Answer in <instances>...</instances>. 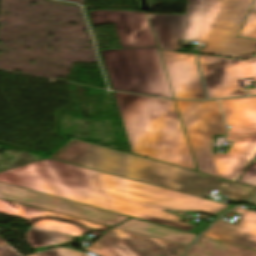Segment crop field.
I'll list each match as a JSON object with an SVG mask.
<instances>
[{
  "label": "crop field",
  "instance_id": "12",
  "mask_svg": "<svg viewBox=\"0 0 256 256\" xmlns=\"http://www.w3.org/2000/svg\"><path fill=\"white\" fill-rule=\"evenodd\" d=\"M17 210H18L19 217L30 220L27 224L31 225L36 220H42L40 222L33 224V226L54 231L57 233L65 234V235L80 237L91 230L88 228L79 227L77 225H82V226L90 227L92 229H97L101 231H106L107 229H109V227L102 226L100 224L78 220V219L62 216L60 214L46 212L36 208L27 207L19 204H17ZM63 221H67L77 225L64 223Z\"/></svg>",
  "mask_w": 256,
  "mask_h": 256
},
{
  "label": "crop field",
  "instance_id": "11",
  "mask_svg": "<svg viewBox=\"0 0 256 256\" xmlns=\"http://www.w3.org/2000/svg\"><path fill=\"white\" fill-rule=\"evenodd\" d=\"M175 99H205L196 55L160 51Z\"/></svg>",
  "mask_w": 256,
  "mask_h": 256
},
{
  "label": "crop field",
  "instance_id": "1",
  "mask_svg": "<svg viewBox=\"0 0 256 256\" xmlns=\"http://www.w3.org/2000/svg\"><path fill=\"white\" fill-rule=\"evenodd\" d=\"M0 182L188 232L195 226L179 222L181 217L163 211L216 214L230 207L50 159L1 173Z\"/></svg>",
  "mask_w": 256,
  "mask_h": 256
},
{
  "label": "crop field",
  "instance_id": "20",
  "mask_svg": "<svg viewBox=\"0 0 256 256\" xmlns=\"http://www.w3.org/2000/svg\"><path fill=\"white\" fill-rule=\"evenodd\" d=\"M237 182L256 187V162L247 167Z\"/></svg>",
  "mask_w": 256,
  "mask_h": 256
},
{
  "label": "crop field",
  "instance_id": "19",
  "mask_svg": "<svg viewBox=\"0 0 256 256\" xmlns=\"http://www.w3.org/2000/svg\"><path fill=\"white\" fill-rule=\"evenodd\" d=\"M240 37L256 40V14L255 13L249 14Z\"/></svg>",
  "mask_w": 256,
  "mask_h": 256
},
{
  "label": "crop field",
  "instance_id": "23",
  "mask_svg": "<svg viewBox=\"0 0 256 256\" xmlns=\"http://www.w3.org/2000/svg\"><path fill=\"white\" fill-rule=\"evenodd\" d=\"M247 204L255 205L256 206V197L250 200Z\"/></svg>",
  "mask_w": 256,
  "mask_h": 256
},
{
  "label": "crop field",
  "instance_id": "4",
  "mask_svg": "<svg viewBox=\"0 0 256 256\" xmlns=\"http://www.w3.org/2000/svg\"><path fill=\"white\" fill-rule=\"evenodd\" d=\"M52 157L205 197L214 189L243 202L255 188L72 139Z\"/></svg>",
  "mask_w": 256,
  "mask_h": 256
},
{
  "label": "crop field",
  "instance_id": "5",
  "mask_svg": "<svg viewBox=\"0 0 256 256\" xmlns=\"http://www.w3.org/2000/svg\"><path fill=\"white\" fill-rule=\"evenodd\" d=\"M114 93L135 155L195 170L173 101Z\"/></svg>",
  "mask_w": 256,
  "mask_h": 256
},
{
  "label": "crop field",
  "instance_id": "3",
  "mask_svg": "<svg viewBox=\"0 0 256 256\" xmlns=\"http://www.w3.org/2000/svg\"><path fill=\"white\" fill-rule=\"evenodd\" d=\"M253 0H187L186 15L148 14L161 50L176 51L179 39L202 41L200 52L246 59L256 41L237 38ZM251 11L256 12V0Z\"/></svg>",
  "mask_w": 256,
  "mask_h": 256
},
{
  "label": "crop field",
  "instance_id": "24",
  "mask_svg": "<svg viewBox=\"0 0 256 256\" xmlns=\"http://www.w3.org/2000/svg\"><path fill=\"white\" fill-rule=\"evenodd\" d=\"M254 161H256V156H255L254 159L251 161V163L254 162Z\"/></svg>",
  "mask_w": 256,
  "mask_h": 256
},
{
  "label": "crop field",
  "instance_id": "17",
  "mask_svg": "<svg viewBox=\"0 0 256 256\" xmlns=\"http://www.w3.org/2000/svg\"><path fill=\"white\" fill-rule=\"evenodd\" d=\"M3 152H5L4 155L0 154V172L45 158L23 151H19V153L10 151Z\"/></svg>",
  "mask_w": 256,
  "mask_h": 256
},
{
  "label": "crop field",
  "instance_id": "22",
  "mask_svg": "<svg viewBox=\"0 0 256 256\" xmlns=\"http://www.w3.org/2000/svg\"><path fill=\"white\" fill-rule=\"evenodd\" d=\"M209 225L201 223L192 233L200 235Z\"/></svg>",
  "mask_w": 256,
  "mask_h": 256
},
{
  "label": "crop field",
  "instance_id": "13",
  "mask_svg": "<svg viewBox=\"0 0 256 256\" xmlns=\"http://www.w3.org/2000/svg\"><path fill=\"white\" fill-rule=\"evenodd\" d=\"M242 214L236 225L219 220L204 237L256 250V213L236 209Z\"/></svg>",
  "mask_w": 256,
  "mask_h": 256
},
{
  "label": "crop field",
  "instance_id": "21",
  "mask_svg": "<svg viewBox=\"0 0 256 256\" xmlns=\"http://www.w3.org/2000/svg\"><path fill=\"white\" fill-rule=\"evenodd\" d=\"M16 203L0 199V212L12 216H17Z\"/></svg>",
  "mask_w": 256,
  "mask_h": 256
},
{
  "label": "crop field",
  "instance_id": "9",
  "mask_svg": "<svg viewBox=\"0 0 256 256\" xmlns=\"http://www.w3.org/2000/svg\"><path fill=\"white\" fill-rule=\"evenodd\" d=\"M185 248L112 228L87 249L101 256H180Z\"/></svg>",
  "mask_w": 256,
  "mask_h": 256
},
{
  "label": "crop field",
  "instance_id": "14",
  "mask_svg": "<svg viewBox=\"0 0 256 256\" xmlns=\"http://www.w3.org/2000/svg\"><path fill=\"white\" fill-rule=\"evenodd\" d=\"M119 229L139 233L142 235L182 244L188 246L198 236L169 229L166 227L154 225L152 223L135 220L133 218L124 222L118 227Z\"/></svg>",
  "mask_w": 256,
  "mask_h": 256
},
{
  "label": "crop field",
  "instance_id": "10",
  "mask_svg": "<svg viewBox=\"0 0 256 256\" xmlns=\"http://www.w3.org/2000/svg\"><path fill=\"white\" fill-rule=\"evenodd\" d=\"M93 25L113 23L122 48L157 46L146 13L136 11H92Z\"/></svg>",
  "mask_w": 256,
  "mask_h": 256
},
{
  "label": "crop field",
  "instance_id": "7",
  "mask_svg": "<svg viewBox=\"0 0 256 256\" xmlns=\"http://www.w3.org/2000/svg\"><path fill=\"white\" fill-rule=\"evenodd\" d=\"M0 198L109 226L119 225L129 218L115 212L70 202L2 183H0Z\"/></svg>",
  "mask_w": 256,
  "mask_h": 256
},
{
  "label": "crop field",
  "instance_id": "8",
  "mask_svg": "<svg viewBox=\"0 0 256 256\" xmlns=\"http://www.w3.org/2000/svg\"><path fill=\"white\" fill-rule=\"evenodd\" d=\"M199 63L209 99L247 95L237 79L256 78V58L231 60L199 55ZM256 95V89H248Z\"/></svg>",
  "mask_w": 256,
  "mask_h": 256
},
{
  "label": "crop field",
  "instance_id": "15",
  "mask_svg": "<svg viewBox=\"0 0 256 256\" xmlns=\"http://www.w3.org/2000/svg\"><path fill=\"white\" fill-rule=\"evenodd\" d=\"M185 256H256V251L202 237Z\"/></svg>",
  "mask_w": 256,
  "mask_h": 256
},
{
  "label": "crop field",
  "instance_id": "18",
  "mask_svg": "<svg viewBox=\"0 0 256 256\" xmlns=\"http://www.w3.org/2000/svg\"><path fill=\"white\" fill-rule=\"evenodd\" d=\"M9 245V244H8ZM1 238H0V256H19L12 248H10ZM83 254L75 253L68 249H57L53 251H47L39 254H34L30 256H82Z\"/></svg>",
  "mask_w": 256,
  "mask_h": 256
},
{
  "label": "crop field",
  "instance_id": "2",
  "mask_svg": "<svg viewBox=\"0 0 256 256\" xmlns=\"http://www.w3.org/2000/svg\"><path fill=\"white\" fill-rule=\"evenodd\" d=\"M199 172L236 181L256 154V97L221 100L234 141L227 156L213 155L212 135L225 134L216 101H176Z\"/></svg>",
  "mask_w": 256,
  "mask_h": 256
},
{
  "label": "crop field",
  "instance_id": "16",
  "mask_svg": "<svg viewBox=\"0 0 256 256\" xmlns=\"http://www.w3.org/2000/svg\"><path fill=\"white\" fill-rule=\"evenodd\" d=\"M26 238L29 244L37 252L42 251L40 247L43 246L59 244L61 242L74 240V238L70 236H65L34 227L28 230Z\"/></svg>",
  "mask_w": 256,
  "mask_h": 256
},
{
  "label": "crop field",
  "instance_id": "6",
  "mask_svg": "<svg viewBox=\"0 0 256 256\" xmlns=\"http://www.w3.org/2000/svg\"><path fill=\"white\" fill-rule=\"evenodd\" d=\"M100 52L113 90L173 98L157 47Z\"/></svg>",
  "mask_w": 256,
  "mask_h": 256
}]
</instances>
